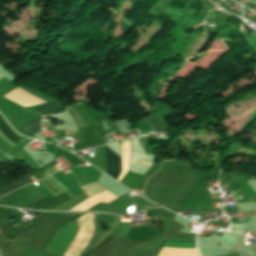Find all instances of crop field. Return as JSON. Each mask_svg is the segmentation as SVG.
<instances>
[{"instance_id": "crop-field-9", "label": "crop field", "mask_w": 256, "mask_h": 256, "mask_svg": "<svg viewBox=\"0 0 256 256\" xmlns=\"http://www.w3.org/2000/svg\"><path fill=\"white\" fill-rule=\"evenodd\" d=\"M0 130L2 131V133L7 136L11 141H13L14 143H17L20 140L19 137H17L6 125L5 123L2 121V119L0 118Z\"/></svg>"}, {"instance_id": "crop-field-7", "label": "crop field", "mask_w": 256, "mask_h": 256, "mask_svg": "<svg viewBox=\"0 0 256 256\" xmlns=\"http://www.w3.org/2000/svg\"><path fill=\"white\" fill-rule=\"evenodd\" d=\"M31 179H32L33 181H35V179H34L33 177H31ZM31 179L28 178V179L21 180V181H17V182H14V183H12V184H9V185H6V186H4V187H1V188H0V196L3 195V194H5V193H7V192H9V191L18 189V188H20V187H22V186H24V185H26V184L32 182Z\"/></svg>"}, {"instance_id": "crop-field-8", "label": "crop field", "mask_w": 256, "mask_h": 256, "mask_svg": "<svg viewBox=\"0 0 256 256\" xmlns=\"http://www.w3.org/2000/svg\"><path fill=\"white\" fill-rule=\"evenodd\" d=\"M40 121H41V117L35 119L34 121H32L31 123H29L27 126L19 129L21 130L23 133L31 136L32 134L36 133L38 130H40Z\"/></svg>"}, {"instance_id": "crop-field-12", "label": "crop field", "mask_w": 256, "mask_h": 256, "mask_svg": "<svg viewBox=\"0 0 256 256\" xmlns=\"http://www.w3.org/2000/svg\"><path fill=\"white\" fill-rule=\"evenodd\" d=\"M141 162V161H140ZM141 163H144V162H141ZM145 164H147V163H145ZM149 165H151V164H149Z\"/></svg>"}, {"instance_id": "crop-field-5", "label": "crop field", "mask_w": 256, "mask_h": 256, "mask_svg": "<svg viewBox=\"0 0 256 256\" xmlns=\"http://www.w3.org/2000/svg\"><path fill=\"white\" fill-rule=\"evenodd\" d=\"M130 140L121 142V174L118 177L117 181L120 182L122 177L124 176L125 172L129 167V160H130Z\"/></svg>"}, {"instance_id": "crop-field-3", "label": "crop field", "mask_w": 256, "mask_h": 256, "mask_svg": "<svg viewBox=\"0 0 256 256\" xmlns=\"http://www.w3.org/2000/svg\"><path fill=\"white\" fill-rule=\"evenodd\" d=\"M107 156V174L116 179L120 171L119 157L105 146Z\"/></svg>"}, {"instance_id": "crop-field-2", "label": "crop field", "mask_w": 256, "mask_h": 256, "mask_svg": "<svg viewBox=\"0 0 256 256\" xmlns=\"http://www.w3.org/2000/svg\"><path fill=\"white\" fill-rule=\"evenodd\" d=\"M4 97L24 106H33V105H39L44 102L18 90L17 88L12 90L10 93L6 94Z\"/></svg>"}, {"instance_id": "crop-field-11", "label": "crop field", "mask_w": 256, "mask_h": 256, "mask_svg": "<svg viewBox=\"0 0 256 256\" xmlns=\"http://www.w3.org/2000/svg\"><path fill=\"white\" fill-rule=\"evenodd\" d=\"M51 179L55 184H57L61 189H63L71 198L76 196L74 193H72L68 188H66L62 183H60L56 178H54L52 175L48 177Z\"/></svg>"}, {"instance_id": "crop-field-6", "label": "crop field", "mask_w": 256, "mask_h": 256, "mask_svg": "<svg viewBox=\"0 0 256 256\" xmlns=\"http://www.w3.org/2000/svg\"><path fill=\"white\" fill-rule=\"evenodd\" d=\"M167 247H176V248H194L195 240H168L164 245Z\"/></svg>"}, {"instance_id": "crop-field-1", "label": "crop field", "mask_w": 256, "mask_h": 256, "mask_svg": "<svg viewBox=\"0 0 256 256\" xmlns=\"http://www.w3.org/2000/svg\"><path fill=\"white\" fill-rule=\"evenodd\" d=\"M81 145L93 147L104 144L102 126L78 127Z\"/></svg>"}, {"instance_id": "crop-field-10", "label": "crop field", "mask_w": 256, "mask_h": 256, "mask_svg": "<svg viewBox=\"0 0 256 256\" xmlns=\"http://www.w3.org/2000/svg\"><path fill=\"white\" fill-rule=\"evenodd\" d=\"M81 188H82V190H84V191H86V192H88L92 195L100 193L102 191H105L102 187H100L96 183L89 184V185H86V186H82Z\"/></svg>"}, {"instance_id": "crop-field-4", "label": "crop field", "mask_w": 256, "mask_h": 256, "mask_svg": "<svg viewBox=\"0 0 256 256\" xmlns=\"http://www.w3.org/2000/svg\"><path fill=\"white\" fill-rule=\"evenodd\" d=\"M59 106H62L61 103L52 100V101H50V102H48L44 105L34 106V108L39 113H41V112H44V111H47V110H50V109H53V108H56V107H59ZM64 112H65V107L62 106V107H59V108L41 113V115L43 116V118H45V117H48V116L57 115V114H61V113H64Z\"/></svg>"}]
</instances>
